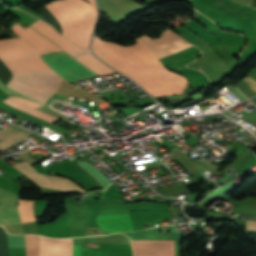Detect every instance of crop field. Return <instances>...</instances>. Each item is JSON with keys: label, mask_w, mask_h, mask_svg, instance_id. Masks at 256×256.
Instances as JSON below:
<instances>
[{"label": "crop field", "mask_w": 256, "mask_h": 256, "mask_svg": "<svg viewBox=\"0 0 256 256\" xmlns=\"http://www.w3.org/2000/svg\"><path fill=\"white\" fill-rule=\"evenodd\" d=\"M13 166L16 169H18L19 171H21L23 174L27 175L33 181H35L40 187L67 190V191H75V192L84 191L79 186H77L75 183H73L65 178L39 174L26 162L18 163Z\"/></svg>", "instance_id": "dd49c442"}, {"label": "crop field", "mask_w": 256, "mask_h": 256, "mask_svg": "<svg viewBox=\"0 0 256 256\" xmlns=\"http://www.w3.org/2000/svg\"><path fill=\"white\" fill-rule=\"evenodd\" d=\"M0 88H1L5 93H7L9 96H20V97H24V98L30 99V98H28V97H26V96H24V95H22V94H20V93H18V92H16V91L12 90V89H10V88H7L1 81H0ZM30 100H32V99H30ZM33 101H34V100H33ZM35 102H36V101H35Z\"/></svg>", "instance_id": "4a817a6b"}, {"label": "crop field", "mask_w": 256, "mask_h": 256, "mask_svg": "<svg viewBox=\"0 0 256 256\" xmlns=\"http://www.w3.org/2000/svg\"><path fill=\"white\" fill-rule=\"evenodd\" d=\"M45 6L60 22L63 36L88 50L96 8L83 0H57Z\"/></svg>", "instance_id": "34b2d1b8"}, {"label": "crop field", "mask_w": 256, "mask_h": 256, "mask_svg": "<svg viewBox=\"0 0 256 256\" xmlns=\"http://www.w3.org/2000/svg\"><path fill=\"white\" fill-rule=\"evenodd\" d=\"M135 254L171 255L174 256V242L163 240H131ZM136 255V256H153Z\"/></svg>", "instance_id": "e52e79f7"}, {"label": "crop field", "mask_w": 256, "mask_h": 256, "mask_svg": "<svg viewBox=\"0 0 256 256\" xmlns=\"http://www.w3.org/2000/svg\"><path fill=\"white\" fill-rule=\"evenodd\" d=\"M96 7L95 0H86Z\"/></svg>", "instance_id": "dafd665d"}, {"label": "crop field", "mask_w": 256, "mask_h": 256, "mask_svg": "<svg viewBox=\"0 0 256 256\" xmlns=\"http://www.w3.org/2000/svg\"><path fill=\"white\" fill-rule=\"evenodd\" d=\"M30 26L34 27L39 33L43 34L44 36L55 42L73 57L78 54L86 53L79 47L68 42L66 39L57 34L53 29H51L49 26L39 20Z\"/></svg>", "instance_id": "28ad6ade"}, {"label": "crop field", "mask_w": 256, "mask_h": 256, "mask_svg": "<svg viewBox=\"0 0 256 256\" xmlns=\"http://www.w3.org/2000/svg\"><path fill=\"white\" fill-rule=\"evenodd\" d=\"M52 54H54L57 58H59L62 62L68 65L71 69H73L84 79L98 76L96 73L92 72L91 70L80 64L78 61H76L73 57H71L64 51L54 52ZM52 54L50 53L42 55L41 58L58 75H60L63 79H65L68 82L83 79Z\"/></svg>", "instance_id": "412701ff"}, {"label": "crop field", "mask_w": 256, "mask_h": 256, "mask_svg": "<svg viewBox=\"0 0 256 256\" xmlns=\"http://www.w3.org/2000/svg\"><path fill=\"white\" fill-rule=\"evenodd\" d=\"M40 256H71L72 239H48L40 236Z\"/></svg>", "instance_id": "5a996713"}, {"label": "crop field", "mask_w": 256, "mask_h": 256, "mask_svg": "<svg viewBox=\"0 0 256 256\" xmlns=\"http://www.w3.org/2000/svg\"><path fill=\"white\" fill-rule=\"evenodd\" d=\"M97 223L100 228L109 232L132 231L129 214L123 215H102L97 217Z\"/></svg>", "instance_id": "3316defc"}, {"label": "crop field", "mask_w": 256, "mask_h": 256, "mask_svg": "<svg viewBox=\"0 0 256 256\" xmlns=\"http://www.w3.org/2000/svg\"><path fill=\"white\" fill-rule=\"evenodd\" d=\"M12 30L28 44H30L39 55L61 50L55 44L44 38L30 27L24 30V28L16 23Z\"/></svg>", "instance_id": "d8731c3e"}, {"label": "crop field", "mask_w": 256, "mask_h": 256, "mask_svg": "<svg viewBox=\"0 0 256 256\" xmlns=\"http://www.w3.org/2000/svg\"><path fill=\"white\" fill-rule=\"evenodd\" d=\"M0 58L12 72L51 69L21 38L0 40ZM13 74L9 87L43 103L55 93L62 79L53 70Z\"/></svg>", "instance_id": "ac0d7876"}, {"label": "crop field", "mask_w": 256, "mask_h": 256, "mask_svg": "<svg viewBox=\"0 0 256 256\" xmlns=\"http://www.w3.org/2000/svg\"><path fill=\"white\" fill-rule=\"evenodd\" d=\"M28 206H29V200H19V204H18V212L20 214L21 220L23 223L25 222H29V221H34L33 219V214H32V210H31V206H32V201H30V206H29V212H30V216H31V220H30V216H29V212H28Z\"/></svg>", "instance_id": "733c2abd"}, {"label": "crop field", "mask_w": 256, "mask_h": 256, "mask_svg": "<svg viewBox=\"0 0 256 256\" xmlns=\"http://www.w3.org/2000/svg\"><path fill=\"white\" fill-rule=\"evenodd\" d=\"M17 201L0 205V225L21 223L17 212Z\"/></svg>", "instance_id": "cbeb9de0"}, {"label": "crop field", "mask_w": 256, "mask_h": 256, "mask_svg": "<svg viewBox=\"0 0 256 256\" xmlns=\"http://www.w3.org/2000/svg\"><path fill=\"white\" fill-rule=\"evenodd\" d=\"M30 135L16 127L9 126L0 131V149L4 150Z\"/></svg>", "instance_id": "22f410ed"}, {"label": "crop field", "mask_w": 256, "mask_h": 256, "mask_svg": "<svg viewBox=\"0 0 256 256\" xmlns=\"http://www.w3.org/2000/svg\"><path fill=\"white\" fill-rule=\"evenodd\" d=\"M162 36L181 49L191 46L181 37L172 33L171 30L165 31ZM162 36L160 39L153 41L144 35L135 39V41L142 47H144L146 50L151 52L153 55H155L158 59L172 55L181 50L169 41H167Z\"/></svg>", "instance_id": "f4fd0767"}, {"label": "crop field", "mask_w": 256, "mask_h": 256, "mask_svg": "<svg viewBox=\"0 0 256 256\" xmlns=\"http://www.w3.org/2000/svg\"><path fill=\"white\" fill-rule=\"evenodd\" d=\"M242 80L245 81L251 87V89L256 93V80L255 79H253L251 76L247 75Z\"/></svg>", "instance_id": "bc2a9ffb"}, {"label": "crop field", "mask_w": 256, "mask_h": 256, "mask_svg": "<svg viewBox=\"0 0 256 256\" xmlns=\"http://www.w3.org/2000/svg\"><path fill=\"white\" fill-rule=\"evenodd\" d=\"M73 256H80V246L73 245Z\"/></svg>", "instance_id": "92a150f3"}, {"label": "crop field", "mask_w": 256, "mask_h": 256, "mask_svg": "<svg viewBox=\"0 0 256 256\" xmlns=\"http://www.w3.org/2000/svg\"><path fill=\"white\" fill-rule=\"evenodd\" d=\"M4 102H6V103H8V104H10V105H12L16 108H19L23 111H26L30 114H33L37 117H40L44 120H47L51 123H54V122L59 120L57 118H54L52 116L46 115L44 113H41L39 111H36V110L32 109V108H35V107H40L41 104L35 103V102L27 100V99H23V98H19V97H9L6 100H4Z\"/></svg>", "instance_id": "d1516ede"}, {"label": "crop field", "mask_w": 256, "mask_h": 256, "mask_svg": "<svg viewBox=\"0 0 256 256\" xmlns=\"http://www.w3.org/2000/svg\"><path fill=\"white\" fill-rule=\"evenodd\" d=\"M26 256H39V236H25Z\"/></svg>", "instance_id": "d9b57169"}, {"label": "crop field", "mask_w": 256, "mask_h": 256, "mask_svg": "<svg viewBox=\"0 0 256 256\" xmlns=\"http://www.w3.org/2000/svg\"><path fill=\"white\" fill-rule=\"evenodd\" d=\"M92 51L101 60L133 78L155 97L182 93L187 80L167 70L162 63L137 43L121 47L94 37Z\"/></svg>", "instance_id": "8a807250"}, {"label": "crop field", "mask_w": 256, "mask_h": 256, "mask_svg": "<svg viewBox=\"0 0 256 256\" xmlns=\"http://www.w3.org/2000/svg\"><path fill=\"white\" fill-rule=\"evenodd\" d=\"M246 229L256 230V220L246 219Z\"/></svg>", "instance_id": "214f88e0"}, {"label": "crop field", "mask_w": 256, "mask_h": 256, "mask_svg": "<svg viewBox=\"0 0 256 256\" xmlns=\"http://www.w3.org/2000/svg\"><path fill=\"white\" fill-rule=\"evenodd\" d=\"M80 63L85 65L86 67L90 68L94 72H96L99 75L114 72V70L108 68L103 63H101L98 59H96L91 54L87 53L85 55H81L78 57H75Z\"/></svg>", "instance_id": "5142ce71"}]
</instances>
